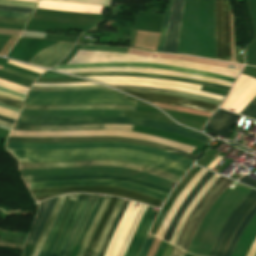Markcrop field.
<instances>
[{
  "label": "crop field",
  "mask_w": 256,
  "mask_h": 256,
  "mask_svg": "<svg viewBox=\"0 0 256 256\" xmlns=\"http://www.w3.org/2000/svg\"><path fill=\"white\" fill-rule=\"evenodd\" d=\"M19 161L68 162L99 159H117L140 163L158 168L180 177L189 166L179 164L152 154L114 148L66 149L53 151H32L7 148Z\"/></svg>",
  "instance_id": "crop-field-1"
},
{
  "label": "crop field",
  "mask_w": 256,
  "mask_h": 256,
  "mask_svg": "<svg viewBox=\"0 0 256 256\" xmlns=\"http://www.w3.org/2000/svg\"><path fill=\"white\" fill-rule=\"evenodd\" d=\"M16 123H30V124H89V123H124V124H138L147 127L160 129L163 131L183 135L202 142H209L210 138L187 128L158 121L133 119V118H119V117H24L19 116Z\"/></svg>",
  "instance_id": "crop-field-2"
},
{
  "label": "crop field",
  "mask_w": 256,
  "mask_h": 256,
  "mask_svg": "<svg viewBox=\"0 0 256 256\" xmlns=\"http://www.w3.org/2000/svg\"><path fill=\"white\" fill-rule=\"evenodd\" d=\"M98 195L79 194L51 256H69Z\"/></svg>",
  "instance_id": "crop-field-3"
},
{
  "label": "crop field",
  "mask_w": 256,
  "mask_h": 256,
  "mask_svg": "<svg viewBox=\"0 0 256 256\" xmlns=\"http://www.w3.org/2000/svg\"><path fill=\"white\" fill-rule=\"evenodd\" d=\"M232 180L220 176V178L212 185L209 191L200 200L198 205L189 215L178 239L176 246L187 250L196 229L204 218L212 204L221 195V193L227 188Z\"/></svg>",
  "instance_id": "crop-field-4"
},
{
  "label": "crop field",
  "mask_w": 256,
  "mask_h": 256,
  "mask_svg": "<svg viewBox=\"0 0 256 256\" xmlns=\"http://www.w3.org/2000/svg\"><path fill=\"white\" fill-rule=\"evenodd\" d=\"M6 147L17 149H33V150H52V149H66V148H86V147H115L136 150L140 152L152 153L179 163L191 166L193 161L183 157L170 154L158 149L149 148L142 145L116 143V142H89V143H70V144H27V143H11L7 142Z\"/></svg>",
  "instance_id": "crop-field-5"
},
{
  "label": "crop field",
  "mask_w": 256,
  "mask_h": 256,
  "mask_svg": "<svg viewBox=\"0 0 256 256\" xmlns=\"http://www.w3.org/2000/svg\"><path fill=\"white\" fill-rule=\"evenodd\" d=\"M7 141L12 142H27V143H70V142H88V141H117V142H128L143 144L149 147L159 148L170 153H174L185 158L195 161L196 156L186 153L181 150H177L164 145L139 140L135 138L126 137H110V136H95V137H50V138H32V137H9Z\"/></svg>",
  "instance_id": "crop-field-6"
},
{
  "label": "crop field",
  "mask_w": 256,
  "mask_h": 256,
  "mask_svg": "<svg viewBox=\"0 0 256 256\" xmlns=\"http://www.w3.org/2000/svg\"><path fill=\"white\" fill-rule=\"evenodd\" d=\"M66 192H88V193H107L114 194L124 198L140 201L143 203L151 204L157 206L160 200L139 194L127 189L122 188H113V187H105V186H85V187H63V188H55V189H40L31 191L33 197L36 201L43 200L45 198L56 196L58 194L66 193Z\"/></svg>",
  "instance_id": "crop-field-7"
},
{
  "label": "crop field",
  "mask_w": 256,
  "mask_h": 256,
  "mask_svg": "<svg viewBox=\"0 0 256 256\" xmlns=\"http://www.w3.org/2000/svg\"><path fill=\"white\" fill-rule=\"evenodd\" d=\"M94 135H110V136H127L135 137L144 140H149L157 143H161L167 146H171L177 149H181L191 153L195 148L186 146L180 143L169 141L163 138L146 135L142 133L124 132V131H64V132H24V131H11L9 136H33V137H49V136H94Z\"/></svg>",
  "instance_id": "crop-field-8"
},
{
  "label": "crop field",
  "mask_w": 256,
  "mask_h": 256,
  "mask_svg": "<svg viewBox=\"0 0 256 256\" xmlns=\"http://www.w3.org/2000/svg\"><path fill=\"white\" fill-rule=\"evenodd\" d=\"M216 59L231 61L230 7L227 0H215Z\"/></svg>",
  "instance_id": "crop-field-9"
},
{
  "label": "crop field",
  "mask_w": 256,
  "mask_h": 256,
  "mask_svg": "<svg viewBox=\"0 0 256 256\" xmlns=\"http://www.w3.org/2000/svg\"><path fill=\"white\" fill-rule=\"evenodd\" d=\"M54 168H66V167H82V166H96V165H105V166H119L129 169H134L138 171H142L144 165L123 162V161H116V160H99V161H85V162H69V163H53ZM20 169L25 168H53L52 163H26V162H19ZM144 172L165 178L167 180L177 182L180 177L175 175L169 174L167 172L154 169L151 167H145Z\"/></svg>",
  "instance_id": "crop-field-10"
},
{
  "label": "crop field",
  "mask_w": 256,
  "mask_h": 256,
  "mask_svg": "<svg viewBox=\"0 0 256 256\" xmlns=\"http://www.w3.org/2000/svg\"><path fill=\"white\" fill-rule=\"evenodd\" d=\"M29 190L62 186H85V185H107L114 187L127 188L139 193L147 194L165 201L167 194L160 193L142 186L126 183L118 180H81V181H57L42 183H27Z\"/></svg>",
  "instance_id": "crop-field-11"
},
{
  "label": "crop field",
  "mask_w": 256,
  "mask_h": 256,
  "mask_svg": "<svg viewBox=\"0 0 256 256\" xmlns=\"http://www.w3.org/2000/svg\"><path fill=\"white\" fill-rule=\"evenodd\" d=\"M127 96L115 90L87 92H28L30 100H70V99H122Z\"/></svg>",
  "instance_id": "crop-field-12"
},
{
  "label": "crop field",
  "mask_w": 256,
  "mask_h": 256,
  "mask_svg": "<svg viewBox=\"0 0 256 256\" xmlns=\"http://www.w3.org/2000/svg\"><path fill=\"white\" fill-rule=\"evenodd\" d=\"M31 182H41V181H57V180H81V179H119L138 185H142L157 191H161L169 194L170 189L162 187L160 185L154 184L149 181L141 180L136 177L124 176L119 174H103V173H94V174H73L65 176H30Z\"/></svg>",
  "instance_id": "crop-field-13"
},
{
  "label": "crop field",
  "mask_w": 256,
  "mask_h": 256,
  "mask_svg": "<svg viewBox=\"0 0 256 256\" xmlns=\"http://www.w3.org/2000/svg\"><path fill=\"white\" fill-rule=\"evenodd\" d=\"M134 125L124 124H89V125H29L15 124L13 129L24 131H64V130H93L115 129L131 131Z\"/></svg>",
  "instance_id": "crop-field-14"
},
{
  "label": "crop field",
  "mask_w": 256,
  "mask_h": 256,
  "mask_svg": "<svg viewBox=\"0 0 256 256\" xmlns=\"http://www.w3.org/2000/svg\"><path fill=\"white\" fill-rule=\"evenodd\" d=\"M110 66H133V67H145V68H156V69H164V70H171V71H179V72H186V73H193V74L215 77V78L223 79L225 81H229L232 83L235 80L233 78L212 74V73L194 71L186 68L172 67L167 65L149 64V63H98V64H83V65H56L52 69H72V68L110 67Z\"/></svg>",
  "instance_id": "crop-field-15"
},
{
  "label": "crop field",
  "mask_w": 256,
  "mask_h": 256,
  "mask_svg": "<svg viewBox=\"0 0 256 256\" xmlns=\"http://www.w3.org/2000/svg\"><path fill=\"white\" fill-rule=\"evenodd\" d=\"M128 93L138 96L140 98H143L147 101L166 103V104H171V105L180 106V107L200 109V110H204L211 113H213V111L217 107V105H213L210 103L194 101V100L181 98V97L156 95V94H150V93H136V92H128Z\"/></svg>",
  "instance_id": "crop-field-16"
},
{
  "label": "crop field",
  "mask_w": 256,
  "mask_h": 256,
  "mask_svg": "<svg viewBox=\"0 0 256 256\" xmlns=\"http://www.w3.org/2000/svg\"><path fill=\"white\" fill-rule=\"evenodd\" d=\"M184 0H173L163 52L176 53Z\"/></svg>",
  "instance_id": "crop-field-17"
},
{
  "label": "crop field",
  "mask_w": 256,
  "mask_h": 256,
  "mask_svg": "<svg viewBox=\"0 0 256 256\" xmlns=\"http://www.w3.org/2000/svg\"><path fill=\"white\" fill-rule=\"evenodd\" d=\"M77 195L78 194L72 195V197H71V195H69V196L66 197V199H65V201H64V203H63V205H62V207H61V209H60V211H59V213H58V215H57V217H56V219H55V221H54V223L52 225V228H51V230L49 232V235H48V237H47V239H46V241H45V243H44V245H43V247H42V249H41V251L39 253V256H43L44 255V253L46 251V248H47V246H48V244H49V242H50V240H51V238L53 236V233H54V231H55V229H56V227L58 225V222H59V220H60V218H61V216L63 214V211H64V209H65V207H66V205H67V203H68V201H69V199L71 197V199H70V201H69V203H68V205H67V207H66V209L64 211V214H63V216H62V218H61V220L59 222V225H58V227H57V229H56V231L54 233V236H53V238H52V240H51V242H50V244L48 246V249H47V251H46V253L44 255V256H50V254H51V252H52V250L54 248V245H55V243H56V241H57V239H58V237H59V235L61 233V230H62V228H63V226H64V224H65V222H66V220L68 218V215H69V213H70V211H71V209H72V207H73V205L75 203Z\"/></svg>",
  "instance_id": "crop-field-18"
},
{
  "label": "crop field",
  "mask_w": 256,
  "mask_h": 256,
  "mask_svg": "<svg viewBox=\"0 0 256 256\" xmlns=\"http://www.w3.org/2000/svg\"><path fill=\"white\" fill-rule=\"evenodd\" d=\"M72 46L70 43L58 42L41 50L29 63L50 68L62 60Z\"/></svg>",
  "instance_id": "crop-field-19"
},
{
  "label": "crop field",
  "mask_w": 256,
  "mask_h": 256,
  "mask_svg": "<svg viewBox=\"0 0 256 256\" xmlns=\"http://www.w3.org/2000/svg\"><path fill=\"white\" fill-rule=\"evenodd\" d=\"M157 213V211L152 210V207L148 206L124 256H137Z\"/></svg>",
  "instance_id": "crop-field-20"
},
{
  "label": "crop field",
  "mask_w": 256,
  "mask_h": 256,
  "mask_svg": "<svg viewBox=\"0 0 256 256\" xmlns=\"http://www.w3.org/2000/svg\"><path fill=\"white\" fill-rule=\"evenodd\" d=\"M73 74L80 75V76H139V77H149V78H157V79H170L175 81H184V82H191L195 84L207 85V86L216 87V88H220L227 91L229 90V87L211 83V82H205V81H199V80H193V79H187V78H181V77H175V76L154 75V74H146V73L87 72V73H73Z\"/></svg>",
  "instance_id": "crop-field-21"
},
{
  "label": "crop field",
  "mask_w": 256,
  "mask_h": 256,
  "mask_svg": "<svg viewBox=\"0 0 256 256\" xmlns=\"http://www.w3.org/2000/svg\"><path fill=\"white\" fill-rule=\"evenodd\" d=\"M239 117L240 115L219 109L205 128L210 129L227 139L234 123Z\"/></svg>",
  "instance_id": "crop-field-22"
},
{
  "label": "crop field",
  "mask_w": 256,
  "mask_h": 256,
  "mask_svg": "<svg viewBox=\"0 0 256 256\" xmlns=\"http://www.w3.org/2000/svg\"><path fill=\"white\" fill-rule=\"evenodd\" d=\"M201 169V167L194 165V167L189 171V173L183 178V180L180 182V184L177 186V188L173 191L171 196L166 201L163 209L159 213L150 233L153 235H156L159 227L161 226L164 218L166 217L168 211L184 189V187L188 184V182L193 178V176Z\"/></svg>",
  "instance_id": "crop-field-23"
},
{
  "label": "crop field",
  "mask_w": 256,
  "mask_h": 256,
  "mask_svg": "<svg viewBox=\"0 0 256 256\" xmlns=\"http://www.w3.org/2000/svg\"><path fill=\"white\" fill-rule=\"evenodd\" d=\"M57 198V197H56ZM56 198L49 199L39 204L35 224L26 240V243L34 245L52 208Z\"/></svg>",
  "instance_id": "crop-field-24"
},
{
  "label": "crop field",
  "mask_w": 256,
  "mask_h": 256,
  "mask_svg": "<svg viewBox=\"0 0 256 256\" xmlns=\"http://www.w3.org/2000/svg\"><path fill=\"white\" fill-rule=\"evenodd\" d=\"M213 175V173L207 171V173L199 180V182L195 185V187L192 189V191L189 193V195L186 197V199L181 204L180 208L178 209L172 223L170 224L165 236L164 240L168 241L170 240L172 233L178 224L183 212L185 211L188 204L191 202V200L195 197L197 192L200 190V188L204 185V183Z\"/></svg>",
  "instance_id": "crop-field-25"
},
{
  "label": "crop field",
  "mask_w": 256,
  "mask_h": 256,
  "mask_svg": "<svg viewBox=\"0 0 256 256\" xmlns=\"http://www.w3.org/2000/svg\"><path fill=\"white\" fill-rule=\"evenodd\" d=\"M206 173V170L201 169L195 176L194 178L189 182V184L185 187V189L183 190V192L181 193V195L179 196V198L177 199V201L175 202V204L173 205V207L171 208V210L169 211L167 217L165 218L158 234L157 237L159 238H163L166 229L168 227V225L170 224L174 214L176 213L177 209L179 208L180 204L182 203V201L185 199V197L188 195V193L190 192V190L193 188V186L198 182V180Z\"/></svg>",
  "instance_id": "crop-field-26"
},
{
  "label": "crop field",
  "mask_w": 256,
  "mask_h": 256,
  "mask_svg": "<svg viewBox=\"0 0 256 256\" xmlns=\"http://www.w3.org/2000/svg\"><path fill=\"white\" fill-rule=\"evenodd\" d=\"M120 90H127V91H137V92H150V88L146 87H124V86H112ZM152 93H158V94H166V95H174V96H182L194 100L199 101H205L210 102L219 105L221 100L209 98V97H203V96H197V95H191L186 94L182 92L172 91V90H166V89H158V88H151Z\"/></svg>",
  "instance_id": "crop-field-27"
},
{
  "label": "crop field",
  "mask_w": 256,
  "mask_h": 256,
  "mask_svg": "<svg viewBox=\"0 0 256 256\" xmlns=\"http://www.w3.org/2000/svg\"><path fill=\"white\" fill-rule=\"evenodd\" d=\"M256 193L255 190L252 189V191L240 202V204L234 209V211L230 214L229 218L227 219L225 225L223 226L211 252L210 256H215L217 253V250L234 219L237 217V215L241 212V210L245 207V205L250 201V199L253 197V195Z\"/></svg>",
  "instance_id": "crop-field-28"
},
{
  "label": "crop field",
  "mask_w": 256,
  "mask_h": 256,
  "mask_svg": "<svg viewBox=\"0 0 256 256\" xmlns=\"http://www.w3.org/2000/svg\"><path fill=\"white\" fill-rule=\"evenodd\" d=\"M137 101L121 100H71V101H29L25 100L24 104L28 105H62V104H129L136 105Z\"/></svg>",
  "instance_id": "crop-field-29"
},
{
  "label": "crop field",
  "mask_w": 256,
  "mask_h": 256,
  "mask_svg": "<svg viewBox=\"0 0 256 256\" xmlns=\"http://www.w3.org/2000/svg\"><path fill=\"white\" fill-rule=\"evenodd\" d=\"M218 177H219V175L214 174L208 180V182L205 184V186L201 189V191L197 194V196L194 198V200L191 202L189 207L184 212L179 224L177 225V227L173 233V236L170 240V243L175 244L177 237H178V235L182 229V226H183L184 222L186 221L188 215L191 213V211L194 209V207L197 205V203L203 197V195L207 192V190L210 188V186L218 179Z\"/></svg>",
  "instance_id": "crop-field-30"
},
{
  "label": "crop field",
  "mask_w": 256,
  "mask_h": 256,
  "mask_svg": "<svg viewBox=\"0 0 256 256\" xmlns=\"http://www.w3.org/2000/svg\"><path fill=\"white\" fill-rule=\"evenodd\" d=\"M255 204H256V194L251 199V201L247 204V206L242 210V212L238 215V217L235 219V221L233 222V224L229 228V230H228V232H227V234H226V236H225V238H224L216 256H223L234 231L236 230V228L238 227V225L240 224L242 219L245 217V215L251 210V208Z\"/></svg>",
  "instance_id": "crop-field-31"
},
{
  "label": "crop field",
  "mask_w": 256,
  "mask_h": 256,
  "mask_svg": "<svg viewBox=\"0 0 256 256\" xmlns=\"http://www.w3.org/2000/svg\"><path fill=\"white\" fill-rule=\"evenodd\" d=\"M23 108L30 109H68V106H28L24 105ZM136 106L125 105H70L69 109H124L135 110Z\"/></svg>",
  "instance_id": "crop-field-32"
},
{
  "label": "crop field",
  "mask_w": 256,
  "mask_h": 256,
  "mask_svg": "<svg viewBox=\"0 0 256 256\" xmlns=\"http://www.w3.org/2000/svg\"><path fill=\"white\" fill-rule=\"evenodd\" d=\"M64 198H65V196L57 198V201H56L55 206H54V208H53V210H52V212H51V214L48 218V221H52V222L54 221ZM48 221L45 224V227H44V229H43V231H42V233H41V235H40V237H39V239H38V241H37V243L34 247V250L31 254V256H38L40 248H41V246H42V244H43V242H44V240H45V238H46V236H47V234H48V232L51 228V225H52V222H48Z\"/></svg>",
  "instance_id": "crop-field-33"
},
{
  "label": "crop field",
  "mask_w": 256,
  "mask_h": 256,
  "mask_svg": "<svg viewBox=\"0 0 256 256\" xmlns=\"http://www.w3.org/2000/svg\"><path fill=\"white\" fill-rule=\"evenodd\" d=\"M116 200H117V198L112 197V199H111V201H110V203H109V205H108V207H107V209H106V211H105V213H104V215H103V217H102V219H101V221H100V223H99V225H98V227L95 231V234H94V236H93V238H92L84 256H90L91 255L92 250H93V248H94V246H95V244H96V242H97V240H98V238H99V236L102 232V229H103V227H104V225H105V223L108 219V216H109Z\"/></svg>",
  "instance_id": "crop-field-34"
},
{
  "label": "crop field",
  "mask_w": 256,
  "mask_h": 256,
  "mask_svg": "<svg viewBox=\"0 0 256 256\" xmlns=\"http://www.w3.org/2000/svg\"><path fill=\"white\" fill-rule=\"evenodd\" d=\"M110 199H111V197L106 196V198H105L104 202L102 203L98 213H100V214L104 213ZM100 214L96 215V217H95V219H94V221H93V223H92V225L89 229V232H88V234H87V236H86V238H85V240H84V242H83V244H82V246H81V248L78 252L79 254H82V255L84 254V252H85V250H86V248L89 244V241H90V239H91V237H92V235H93V233H94V231H95V229H96V227H97V225H98V223H99V221L102 217V215H100ZM79 254L77 256H82V255H79Z\"/></svg>",
  "instance_id": "crop-field-35"
},
{
  "label": "crop field",
  "mask_w": 256,
  "mask_h": 256,
  "mask_svg": "<svg viewBox=\"0 0 256 256\" xmlns=\"http://www.w3.org/2000/svg\"><path fill=\"white\" fill-rule=\"evenodd\" d=\"M256 213V205L252 208V210L246 215V217L243 219L241 225L238 227V229L236 230L228 248L227 251L225 253L224 256H231L232 251L240 237V235L242 234L243 230L245 229V227L248 225V223L250 222V220L252 219V217L254 216V214Z\"/></svg>",
  "instance_id": "crop-field-36"
},
{
  "label": "crop field",
  "mask_w": 256,
  "mask_h": 256,
  "mask_svg": "<svg viewBox=\"0 0 256 256\" xmlns=\"http://www.w3.org/2000/svg\"><path fill=\"white\" fill-rule=\"evenodd\" d=\"M128 203H129V200L125 199L121 208H120V210H119V212H118V214H117V216H116V218H115V220H114V222H113V224H112V226H111V228H110V230H109V232H108L107 238H106L98 256H103L104 255V253H105V251H106V249H107V247H108V245H109V243H110V241H111V239H112V237H113V235L116 231V228H117V226L120 222V219H121V217L123 215V212H124L126 206L128 205Z\"/></svg>",
  "instance_id": "crop-field-37"
},
{
  "label": "crop field",
  "mask_w": 256,
  "mask_h": 256,
  "mask_svg": "<svg viewBox=\"0 0 256 256\" xmlns=\"http://www.w3.org/2000/svg\"><path fill=\"white\" fill-rule=\"evenodd\" d=\"M122 201H123V199H121V198L118 199V201H117V203H116V205H115V207L113 209L114 211H116V212L118 211ZM114 211H112V213H111V215H110V217H109V219H108V221H107V223H106V225H105V227L103 229V232H102V234H101L99 239H102V240L105 239V237L107 235V232H108V229H109V227H110V225H111V223H112V221H113V219H114V217L116 215V212H114ZM102 243H103V241H101V240L98 241V243H97V245H96V247H95V249H94V251H93L91 256H97L98 251H99Z\"/></svg>",
  "instance_id": "crop-field-38"
},
{
  "label": "crop field",
  "mask_w": 256,
  "mask_h": 256,
  "mask_svg": "<svg viewBox=\"0 0 256 256\" xmlns=\"http://www.w3.org/2000/svg\"><path fill=\"white\" fill-rule=\"evenodd\" d=\"M146 208H147V206L142 205V207H141V209H140V211H139V213H138V215H137V217H136V219H135V221H134V223H133V225H132V227H131V229L128 233V236H127V238H126V240H125V242H124V244H123V246H122V248H121V250L118 254V256H123V254H124L128 244H129V242H130V240H131V238H132V236H133V234H134V232H135V230L138 226V223H139L141 217L143 216V214L146 210Z\"/></svg>",
  "instance_id": "crop-field-39"
},
{
  "label": "crop field",
  "mask_w": 256,
  "mask_h": 256,
  "mask_svg": "<svg viewBox=\"0 0 256 256\" xmlns=\"http://www.w3.org/2000/svg\"><path fill=\"white\" fill-rule=\"evenodd\" d=\"M171 5H172V0H168L167 7H166V12H165V15H164V18H163L161 35H160V39H159V43H158L156 51L162 52V50H163V45H164V40H165V35H166V30H167V25H168L170 10H171Z\"/></svg>",
  "instance_id": "crop-field-40"
},
{
  "label": "crop field",
  "mask_w": 256,
  "mask_h": 256,
  "mask_svg": "<svg viewBox=\"0 0 256 256\" xmlns=\"http://www.w3.org/2000/svg\"><path fill=\"white\" fill-rule=\"evenodd\" d=\"M103 199H104V197L99 196V198H98V200H97V202H96V204H95V206H94V208H93V210H92V212H91V214H90V216H89V218H88V220H87V222H86V224H85V226H84V228L81 232V235H80L76 245H78V246L81 245V243H82V241H83V239H84V237H85V235H86V233H87V231H88V229H89V227H90V225H91V223L94 219V216H95L97 210L99 209V207H100V205L103 201Z\"/></svg>",
  "instance_id": "crop-field-41"
},
{
  "label": "crop field",
  "mask_w": 256,
  "mask_h": 256,
  "mask_svg": "<svg viewBox=\"0 0 256 256\" xmlns=\"http://www.w3.org/2000/svg\"><path fill=\"white\" fill-rule=\"evenodd\" d=\"M55 91H80V90H106L109 89L104 86H95V87H79V88H54ZM32 91H54L53 88H36L31 87Z\"/></svg>",
  "instance_id": "crop-field-42"
},
{
  "label": "crop field",
  "mask_w": 256,
  "mask_h": 256,
  "mask_svg": "<svg viewBox=\"0 0 256 256\" xmlns=\"http://www.w3.org/2000/svg\"><path fill=\"white\" fill-rule=\"evenodd\" d=\"M240 114L249 116L256 120V97L245 107V109Z\"/></svg>",
  "instance_id": "crop-field-43"
},
{
  "label": "crop field",
  "mask_w": 256,
  "mask_h": 256,
  "mask_svg": "<svg viewBox=\"0 0 256 256\" xmlns=\"http://www.w3.org/2000/svg\"><path fill=\"white\" fill-rule=\"evenodd\" d=\"M0 4L31 7V8H35L37 5V3H34V2L15 1V0H0Z\"/></svg>",
  "instance_id": "crop-field-44"
},
{
  "label": "crop field",
  "mask_w": 256,
  "mask_h": 256,
  "mask_svg": "<svg viewBox=\"0 0 256 256\" xmlns=\"http://www.w3.org/2000/svg\"><path fill=\"white\" fill-rule=\"evenodd\" d=\"M0 103L4 104V105H7V106H11V107L21 109V106H22L23 102L0 96Z\"/></svg>",
  "instance_id": "crop-field-45"
},
{
  "label": "crop field",
  "mask_w": 256,
  "mask_h": 256,
  "mask_svg": "<svg viewBox=\"0 0 256 256\" xmlns=\"http://www.w3.org/2000/svg\"><path fill=\"white\" fill-rule=\"evenodd\" d=\"M0 16L29 19V17L31 16V14L14 13V12H8V11H2V10H0Z\"/></svg>",
  "instance_id": "crop-field-46"
},
{
  "label": "crop field",
  "mask_w": 256,
  "mask_h": 256,
  "mask_svg": "<svg viewBox=\"0 0 256 256\" xmlns=\"http://www.w3.org/2000/svg\"><path fill=\"white\" fill-rule=\"evenodd\" d=\"M153 240H154L153 238H151L149 236L147 237L139 256H147Z\"/></svg>",
  "instance_id": "crop-field-47"
},
{
  "label": "crop field",
  "mask_w": 256,
  "mask_h": 256,
  "mask_svg": "<svg viewBox=\"0 0 256 256\" xmlns=\"http://www.w3.org/2000/svg\"><path fill=\"white\" fill-rule=\"evenodd\" d=\"M0 9L21 11V12H29V13H33V11H34V9L11 7V6H5V5H0Z\"/></svg>",
  "instance_id": "crop-field-48"
},
{
  "label": "crop field",
  "mask_w": 256,
  "mask_h": 256,
  "mask_svg": "<svg viewBox=\"0 0 256 256\" xmlns=\"http://www.w3.org/2000/svg\"><path fill=\"white\" fill-rule=\"evenodd\" d=\"M0 22L26 24L27 20L0 17Z\"/></svg>",
  "instance_id": "crop-field-49"
},
{
  "label": "crop field",
  "mask_w": 256,
  "mask_h": 256,
  "mask_svg": "<svg viewBox=\"0 0 256 256\" xmlns=\"http://www.w3.org/2000/svg\"><path fill=\"white\" fill-rule=\"evenodd\" d=\"M0 114L4 115V116H7V117H11V118L16 119V117L18 115V112H14V111H11V110H8V109H4V108L0 107Z\"/></svg>",
  "instance_id": "crop-field-50"
},
{
  "label": "crop field",
  "mask_w": 256,
  "mask_h": 256,
  "mask_svg": "<svg viewBox=\"0 0 256 256\" xmlns=\"http://www.w3.org/2000/svg\"><path fill=\"white\" fill-rule=\"evenodd\" d=\"M2 70H3V71H7V72L14 73V74H16V75H19V76H21V77H24V78H27V79H30V80H33V81H35V79H36V77H32V76H29V75H25V74H22V73H18V72H15V71H13V70L7 69V68H5V67H3Z\"/></svg>",
  "instance_id": "crop-field-51"
},
{
  "label": "crop field",
  "mask_w": 256,
  "mask_h": 256,
  "mask_svg": "<svg viewBox=\"0 0 256 256\" xmlns=\"http://www.w3.org/2000/svg\"><path fill=\"white\" fill-rule=\"evenodd\" d=\"M239 182H242V183L247 184V185L252 186V187H254V186L256 185V181H255V180L250 179V178H247V177H245V176H243V177L239 180Z\"/></svg>",
  "instance_id": "crop-field-52"
},
{
  "label": "crop field",
  "mask_w": 256,
  "mask_h": 256,
  "mask_svg": "<svg viewBox=\"0 0 256 256\" xmlns=\"http://www.w3.org/2000/svg\"><path fill=\"white\" fill-rule=\"evenodd\" d=\"M184 255H185V252L174 247L170 256H184Z\"/></svg>",
  "instance_id": "crop-field-53"
},
{
  "label": "crop field",
  "mask_w": 256,
  "mask_h": 256,
  "mask_svg": "<svg viewBox=\"0 0 256 256\" xmlns=\"http://www.w3.org/2000/svg\"><path fill=\"white\" fill-rule=\"evenodd\" d=\"M0 91H3V92H6V93H10V94H13V95L25 98V95H22L20 93H17V92L11 91V90H7V89L1 88V87H0Z\"/></svg>",
  "instance_id": "crop-field-54"
},
{
  "label": "crop field",
  "mask_w": 256,
  "mask_h": 256,
  "mask_svg": "<svg viewBox=\"0 0 256 256\" xmlns=\"http://www.w3.org/2000/svg\"><path fill=\"white\" fill-rule=\"evenodd\" d=\"M41 77H70V76L63 75V74H44Z\"/></svg>",
  "instance_id": "crop-field-55"
},
{
  "label": "crop field",
  "mask_w": 256,
  "mask_h": 256,
  "mask_svg": "<svg viewBox=\"0 0 256 256\" xmlns=\"http://www.w3.org/2000/svg\"><path fill=\"white\" fill-rule=\"evenodd\" d=\"M172 249H173V246L168 245V247H167V249H166V251H165L163 256H169L171 251H172Z\"/></svg>",
  "instance_id": "crop-field-56"
},
{
  "label": "crop field",
  "mask_w": 256,
  "mask_h": 256,
  "mask_svg": "<svg viewBox=\"0 0 256 256\" xmlns=\"http://www.w3.org/2000/svg\"><path fill=\"white\" fill-rule=\"evenodd\" d=\"M0 120H3V121H7V122H10V123H14V119H10V118H7V117H3V116H0Z\"/></svg>",
  "instance_id": "crop-field-57"
},
{
  "label": "crop field",
  "mask_w": 256,
  "mask_h": 256,
  "mask_svg": "<svg viewBox=\"0 0 256 256\" xmlns=\"http://www.w3.org/2000/svg\"><path fill=\"white\" fill-rule=\"evenodd\" d=\"M0 106L5 107V108H9V109H12V110H15V111H18V112L20 111L18 109L10 108V107H7V106L1 105V104H0Z\"/></svg>",
  "instance_id": "crop-field-58"
},
{
  "label": "crop field",
  "mask_w": 256,
  "mask_h": 256,
  "mask_svg": "<svg viewBox=\"0 0 256 256\" xmlns=\"http://www.w3.org/2000/svg\"><path fill=\"white\" fill-rule=\"evenodd\" d=\"M0 123L12 127V124H10V123H6V122H2V121H0Z\"/></svg>",
  "instance_id": "crop-field-59"
}]
</instances>
